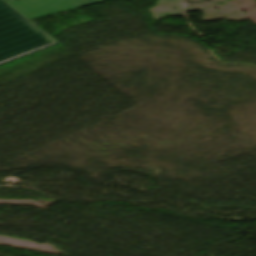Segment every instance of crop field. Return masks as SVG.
I'll return each mask as SVG.
<instances>
[{
    "mask_svg": "<svg viewBox=\"0 0 256 256\" xmlns=\"http://www.w3.org/2000/svg\"><path fill=\"white\" fill-rule=\"evenodd\" d=\"M57 44L0 0V64Z\"/></svg>",
    "mask_w": 256,
    "mask_h": 256,
    "instance_id": "1",
    "label": "crop field"
}]
</instances>
